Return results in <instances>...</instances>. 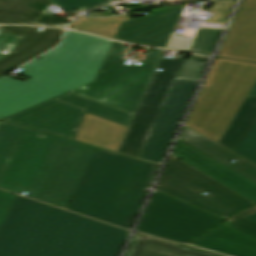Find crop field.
Masks as SVG:
<instances>
[{
	"mask_svg": "<svg viewBox=\"0 0 256 256\" xmlns=\"http://www.w3.org/2000/svg\"><path fill=\"white\" fill-rule=\"evenodd\" d=\"M93 150L1 122L0 188L18 194L28 191L27 197L66 209Z\"/></svg>",
	"mask_w": 256,
	"mask_h": 256,
	"instance_id": "crop-field-1",
	"label": "crop field"
},
{
	"mask_svg": "<svg viewBox=\"0 0 256 256\" xmlns=\"http://www.w3.org/2000/svg\"><path fill=\"white\" fill-rule=\"evenodd\" d=\"M129 232L17 196L0 256H118Z\"/></svg>",
	"mask_w": 256,
	"mask_h": 256,
	"instance_id": "crop-field-2",
	"label": "crop field"
},
{
	"mask_svg": "<svg viewBox=\"0 0 256 256\" xmlns=\"http://www.w3.org/2000/svg\"><path fill=\"white\" fill-rule=\"evenodd\" d=\"M112 41L67 30L59 47L22 69L23 83L0 79V119L95 81Z\"/></svg>",
	"mask_w": 256,
	"mask_h": 256,
	"instance_id": "crop-field-3",
	"label": "crop field"
},
{
	"mask_svg": "<svg viewBox=\"0 0 256 256\" xmlns=\"http://www.w3.org/2000/svg\"><path fill=\"white\" fill-rule=\"evenodd\" d=\"M157 167L104 150L95 152L67 209L130 229Z\"/></svg>",
	"mask_w": 256,
	"mask_h": 256,
	"instance_id": "crop-field-4",
	"label": "crop field"
},
{
	"mask_svg": "<svg viewBox=\"0 0 256 256\" xmlns=\"http://www.w3.org/2000/svg\"><path fill=\"white\" fill-rule=\"evenodd\" d=\"M256 84V64L216 58L185 125L218 142Z\"/></svg>",
	"mask_w": 256,
	"mask_h": 256,
	"instance_id": "crop-field-5",
	"label": "crop field"
},
{
	"mask_svg": "<svg viewBox=\"0 0 256 256\" xmlns=\"http://www.w3.org/2000/svg\"><path fill=\"white\" fill-rule=\"evenodd\" d=\"M126 48L113 42L95 82L70 93L135 114L164 51L153 50L142 67L126 66Z\"/></svg>",
	"mask_w": 256,
	"mask_h": 256,
	"instance_id": "crop-field-6",
	"label": "crop field"
},
{
	"mask_svg": "<svg viewBox=\"0 0 256 256\" xmlns=\"http://www.w3.org/2000/svg\"><path fill=\"white\" fill-rule=\"evenodd\" d=\"M86 112L127 127L134 116L67 93L2 120L74 140Z\"/></svg>",
	"mask_w": 256,
	"mask_h": 256,
	"instance_id": "crop-field-7",
	"label": "crop field"
},
{
	"mask_svg": "<svg viewBox=\"0 0 256 256\" xmlns=\"http://www.w3.org/2000/svg\"><path fill=\"white\" fill-rule=\"evenodd\" d=\"M156 190L224 219L255 204L174 156Z\"/></svg>",
	"mask_w": 256,
	"mask_h": 256,
	"instance_id": "crop-field-8",
	"label": "crop field"
},
{
	"mask_svg": "<svg viewBox=\"0 0 256 256\" xmlns=\"http://www.w3.org/2000/svg\"><path fill=\"white\" fill-rule=\"evenodd\" d=\"M221 221L220 218L155 191L139 231L186 243Z\"/></svg>",
	"mask_w": 256,
	"mask_h": 256,
	"instance_id": "crop-field-9",
	"label": "crop field"
},
{
	"mask_svg": "<svg viewBox=\"0 0 256 256\" xmlns=\"http://www.w3.org/2000/svg\"><path fill=\"white\" fill-rule=\"evenodd\" d=\"M186 55L180 53L173 59L161 58L157 68L163 69V72H155L118 152L140 157Z\"/></svg>",
	"mask_w": 256,
	"mask_h": 256,
	"instance_id": "crop-field-10",
	"label": "crop field"
},
{
	"mask_svg": "<svg viewBox=\"0 0 256 256\" xmlns=\"http://www.w3.org/2000/svg\"><path fill=\"white\" fill-rule=\"evenodd\" d=\"M197 84L176 80L140 158L162 162Z\"/></svg>",
	"mask_w": 256,
	"mask_h": 256,
	"instance_id": "crop-field-11",
	"label": "crop field"
},
{
	"mask_svg": "<svg viewBox=\"0 0 256 256\" xmlns=\"http://www.w3.org/2000/svg\"><path fill=\"white\" fill-rule=\"evenodd\" d=\"M184 7L152 10L151 16L122 23L115 38L165 48Z\"/></svg>",
	"mask_w": 256,
	"mask_h": 256,
	"instance_id": "crop-field-12",
	"label": "crop field"
},
{
	"mask_svg": "<svg viewBox=\"0 0 256 256\" xmlns=\"http://www.w3.org/2000/svg\"><path fill=\"white\" fill-rule=\"evenodd\" d=\"M217 57L256 62V0H243Z\"/></svg>",
	"mask_w": 256,
	"mask_h": 256,
	"instance_id": "crop-field-13",
	"label": "crop field"
},
{
	"mask_svg": "<svg viewBox=\"0 0 256 256\" xmlns=\"http://www.w3.org/2000/svg\"><path fill=\"white\" fill-rule=\"evenodd\" d=\"M172 155L256 203V183L178 139Z\"/></svg>",
	"mask_w": 256,
	"mask_h": 256,
	"instance_id": "crop-field-14",
	"label": "crop field"
},
{
	"mask_svg": "<svg viewBox=\"0 0 256 256\" xmlns=\"http://www.w3.org/2000/svg\"><path fill=\"white\" fill-rule=\"evenodd\" d=\"M37 30L34 27L2 26L0 31L23 37L13 54L0 60V78L7 74L4 70L19 67L56 47L64 31L51 28H45L42 32Z\"/></svg>",
	"mask_w": 256,
	"mask_h": 256,
	"instance_id": "crop-field-15",
	"label": "crop field"
},
{
	"mask_svg": "<svg viewBox=\"0 0 256 256\" xmlns=\"http://www.w3.org/2000/svg\"><path fill=\"white\" fill-rule=\"evenodd\" d=\"M189 244L232 256H256V238L234 229L227 221Z\"/></svg>",
	"mask_w": 256,
	"mask_h": 256,
	"instance_id": "crop-field-16",
	"label": "crop field"
},
{
	"mask_svg": "<svg viewBox=\"0 0 256 256\" xmlns=\"http://www.w3.org/2000/svg\"><path fill=\"white\" fill-rule=\"evenodd\" d=\"M50 0H0V23H25L66 27L69 18L47 15Z\"/></svg>",
	"mask_w": 256,
	"mask_h": 256,
	"instance_id": "crop-field-17",
	"label": "crop field"
},
{
	"mask_svg": "<svg viewBox=\"0 0 256 256\" xmlns=\"http://www.w3.org/2000/svg\"><path fill=\"white\" fill-rule=\"evenodd\" d=\"M179 139L256 182V165L184 127ZM237 162L232 163L230 161Z\"/></svg>",
	"mask_w": 256,
	"mask_h": 256,
	"instance_id": "crop-field-18",
	"label": "crop field"
},
{
	"mask_svg": "<svg viewBox=\"0 0 256 256\" xmlns=\"http://www.w3.org/2000/svg\"><path fill=\"white\" fill-rule=\"evenodd\" d=\"M127 127L86 114L75 140L117 150Z\"/></svg>",
	"mask_w": 256,
	"mask_h": 256,
	"instance_id": "crop-field-19",
	"label": "crop field"
},
{
	"mask_svg": "<svg viewBox=\"0 0 256 256\" xmlns=\"http://www.w3.org/2000/svg\"><path fill=\"white\" fill-rule=\"evenodd\" d=\"M125 256H215V255L136 233Z\"/></svg>",
	"mask_w": 256,
	"mask_h": 256,
	"instance_id": "crop-field-20",
	"label": "crop field"
},
{
	"mask_svg": "<svg viewBox=\"0 0 256 256\" xmlns=\"http://www.w3.org/2000/svg\"><path fill=\"white\" fill-rule=\"evenodd\" d=\"M256 124V97H247L218 143L235 150Z\"/></svg>",
	"mask_w": 256,
	"mask_h": 256,
	"instance_id": "crop-field-21",
	"label": "crop field"
},
{
	"mask_svg": "<svg viewBox=\"0 0 256 256\" xmlns=\"http://www.w3.org/2000/svg\"><path fill=\"white\" fill-rule=\"evenodd\" d=\"M120 25L121 23L96 18H79L72 22L70 28L114 38Z\"/></svg>",
	"mask_w": 256,
	"mask_h": 256,
	"instance_id": "crop-field-22",
	"label": "crop field"
},
{
	"mask_svg": "<svg viewBox=\"0 0 256 256\" xmlns=\"http://www.w3.org/2000/svg\"><path fill=\"white\" fill-rule=\"evenodd\" d=\"M222 29L199 28L189 51L210 55Z\"/></svg>",
	"mask_w": 256,
	"mask_h": 256,
	"instance_id": "crop-field-23",
	"label": "crop field"
},
{
	"mask_svg": "<svg viewBox=\"0 0 256 256\" xmlns=\"http://www.w3.org/2000/svg\"><path fill=\"white\" fill-rule=\"evenodd\" d=\"M234 2L235 0H215L213 8L205 11L215 13L212 19H206L204 26L224 27Z\"/></svg>",
	"mask_w": 256,
	"mask_h": 256,
	"instance_id": "crop-field-24",
	"label": "crop field"
},
{
	"mask_svg": "<svg viewBox=\"0 0 256 256\" xmlns=\"http://www.w3.org/2000/svg\"><path fill=\"white\" fill-rule=\"evenodd\" d=\"M208 58L191 55L187 59L177 79L197 81L200 79Z\"/></svg>",
	"mask_w": 256,
	"mask_h": 256,
	"instance_id": "crop-field-25",
	"label": "crop field"
},
{
	"mask_svg": "<svg viewBox=\"0 0 256 256\" xmlns=\"http://www.w3.org/2000/svg\"><path fill=\"white\" fill-rule=\"evenodd\" d=\"M65 11L79 8L81 12L106 5L113 0H52ZM61 8V9H62Z\"/></svg>",
	"mask_w": 256,
	"mask_h": 256,
	"instance_id": "crop-field-26",
	"label": "crop field"
},
{
	"mask_svg": "<svg viewBox=\"0 0 256 256\" xmlns=\"http://www.w3.org/2000/svg\"><path fill=\"white\" fill-rule=\"evenodd\" d=\"M234 153L256 164V125L236 148Z\"/></svg>",
	"mask_w": 256,
	"mask_h": 256,
	"instance_id": "crop-field-27",
	"label": "crop field"
},
{
	"mask_svg": "<svg viewBox=\"0 0 256 256\" xmlns=\"http://www.w3.org/2000/svg\"><path fill=\"white\" fill-rule=\"evenodd\" d=\"M21 37L0 32V59L12 54Z\"/></svg>",
	"mask_w": 256,
	"mask_h": 256,
	"instance_id": "crop-field-28",
	"label": "crop field"
},
{
	"mask_svg": "<svg viewBox=\"0 0 256 256\" xmlns=\"http://www.w3.org/2000/svg\"><path fill=\"white\" fill-rule=\"evenodd\" d=\"M177 28H180V26H177L176 29ZM194 37L195 36H193V35L177 34L174 31L167 48L188 51Z\"/></svg>",
	"mask_w": 256,
	"mask_h": 256,
	"instance_id": "crop-field-29",
	"label": "crop field"
},
{
	"mask_svg": "<svg viewBox=\"0 0 256 256\" xmlns=\"http://www.w3.org/2000/svg\"><path fill=\"white\" fill-rule=\"evenodd\" d=\"M16 195L0 190V228ZM4 224V223H3Z\"/></svg>",
	"mask_w": 256,
	"mask_h": 256,
	"instance_id": "crop-field-30",
	"label": "crop field"
},
{
	"mask_svg": "<svg viewBox=\"0 0 256 256\" xmlns=\"http://www.w3.org/2000/svg\"><path fill=\"white\" fill-rule=\"evenodd\" d=\"M234 228L256 237V222L245 218L233 223Z\"/></svg>",
	"mask_w": 256,
	"mask_h": 256,
	"instance_id": "crop-field-31",
	"label": "crop field"
},
{
	"mask_svg": "<svg viewBox=\"0 0 256 256\" xmlns=\"http://www.w3.org/2000/svg\"><path fill=\"white\" fill-rule=\"evenodd\" d=\"M253 214H256V206L251 208V209H249V210H246V211H244V212H242V213H240L238 215H236L235 217L231 218L228 221L233 223V222L238 221L240 219H243L245 217H249V216H251Z\"/></svg>",
	"mask_w": 256,
	"mask_h": 256,
	"instance_id": "crop-field-32",
	"label": "crop field"
},
{
	"mask_svg": "<svg viewBox=\"0 0 256 256\" xmlns=\"http://www.w3.org/2000/svg\"><path fill=\"white\" fill-rule=\"evenodd\" d=\"M99 19H105V20H113L116 22H126V21H130V18L128 15L125 16H118V17H111V18H99Z\"/></svg>",
	"mask_w": 256,
	"mask_h": 256,
	"instance_id": "crop-field-33",
	"label": "crop field"
},
{
	"mask_svg": "<svg viewBox=\"0 0 256 256\" xmlns=\"http://www.w3.org/2000/svg\"><path fill=\"white\" fill-rule=\"evenodd\" d=\"M249 96H256V85L255 87L253 88L252 92L250 93Z\"/></svg>",
	"mask_w": 256,
	"mask_h": 256,
	"instance_id": "crop-field-34",
	"label": "crop field"
},
{
	"mask_svg": "<svg viewBox=\"0 0 256 256\" xmlns=\"http://www.w3.org/2000/svg\"><path fill=\"white\" fill-rule=\"evenodd\" d=\"M250 219H252V220H254V221H256V215H253V216H251V217H249Z\"/></svg>",
	"mask_w": 256,
	"mask_h": 256,
	"instance_id": "crop-field-35",
	"label": "crop field"
}]
</instances>
